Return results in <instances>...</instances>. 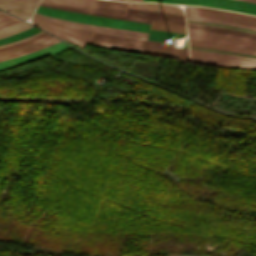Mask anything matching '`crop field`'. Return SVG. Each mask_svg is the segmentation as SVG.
I'll list each match as a JSON object with an SVG mask.
<instances>
[{
  "mask_svg": "<svg viewBox=\"0 0 256 256\" xmlns=\"http://www.w3.org/2000/svg\"><path fill=\"white\" fill-rule=\"evenodd\" d=\"M37 3V0H0V8L24 18L32 14Z\"/></svg>",
  "mask_w": 256,
  "mask_h": 256,
  "instance_id": "d1516ede",
  "label": "crop field"
},
{
  "mask_svg": "<svg viewBox=\"0 0 256 256\" xmlns=\"http://www.w3.org/2000/svg\"><path fill=\"white\" fill-rule=\"evenodd\" d=\"M184 36L185 35H183V34H177V33H171V32L150 29L148 39L166 42L167 39L184 37Z\"/></svg>",
  "mask_w": 256,
  "mask_h": 256,
  "instance_id": "d9b57169",
  "label": "crop field"
},
{
  "mask_svg": "<svg viewBox=\"0 0 256 256\" xmlns=\"http://www.w3.org/2000/svg\"><path fill=\"white\" fill-rule=\"evenodd\" d=\"M31 21L33 24L49 31L50 33L56 35L57 37L68 40L81 47H84L85 44L81 43L80 41L87 43L88 41L87 39H89L90 35L92 34L91 31L66 26V25L59 24L35 15L32 16ZM73 33L80 35L82 37H85L87 39L77 36Z\"/></svg>",
  "mask_w": 256,
  "mask_h": 256,
  "instance_id": "dd49c442",
  "label": "crop field"
},
{
  "mask_svg": "<svg viewBox=\"0 0 256 256\" xmlns=\"http://www.w3.org/2000/svg\"><path fill=\"white\" fill-rule=\"evenodd\" d=\"M39 5L58 8V9H64V10H70V11H76V12H82V13H88V14H94V15H100V16H106V17H112V18H118V19H124V20H130V21H136V22H142V23H148V24H150L151 19L185 24V20L183 16L156 13V12H150V11H144V10L128 9L126 17H122V16L70 9V8L53 6V5L42 4V3H40Z\"/></svg>",
  "mask_w": 256,
  "mask_h": 256,
  "instance_id": "e52e79f7",
  "label": "crop field"
},
{
  "mask_svg": "<svg viewBox=\"0 0 256 256\" xmlns=\"http://www.w3.org/2000/svg\"><path fill=\"white\" fill-rule=\"evenodd\" d=\"M38 16L63 23L66 25L74 26V27H79L91 31H96V32H102V33H107V34H113V35H118V36H124V37H130V38H136V39H143L146 40L148 33L145 32H137V31H130V30H122V29H116V28H110V27H104V26H98V25H90V24H82V23H76V22H71V21H66V20H61V19H56L40 14H36Z\"/></svg>",
  "mask_w": 256,
  "mask_h": 256,
  "instance_id": "3316defc",
  "label": "crop field"
},
{
  "mask_svg": "<svg viewBox=\"0 0 256 256\" xmlns=\"http://www.w3.org/2000/svg\"><path fill=\"white\" fill-rule=\"evenodd\" d=\"M128 8L154 10L183 15V10L181 7L159 3H130Z\"/></svg>",
  "mask_w": 256,
  "mask_h": 256,
  "instance_id": "cbeb9de0",
  "label": "crop field"
},
{
  "mask_svg": "<svg viewBox=\"0 0 256 256\" xmlns=\"http://www.w3.org/2000/svg\"><path fill=\"white\" fill-rule=\"evenodd\" d=\"M189 45L256 54V41L188 29Z\"/></svg>",
  "mask_w": 256,
  "mask_h": 256,
  "instance_id": "ac0d7876",
  "label": "crop field"
},
{
  "mask_svg": "<svg viewBox=\"0 0 256 256\" xmlns=\"http://www.w3.org/2000/svg\"><path fill=\"white\" fill-rule=\"evenodd\" d=\"M69 47L68 45H66L63 42H58L52 46H49L43 50L40 51H36L30 54H26L20 57H16L13 59H9V60H5V61H1L0 62V69H5V68H10V67H15V66H19L49 55H52L58 51H61L65 48Z\"/></svg>",
  "mask_w": 256,
  "mask_h": 256,
  "instance_id": "28ad6ade",
  "label": "crop field"
},
{
  "mask_svg": "<svg viewBox=\"0 0 256 256\" xmlns=\"http://www.w3.org/2000/svg\"><path fill=\"white\" fill-rule=\"evenodd\" d=\"M40 33H42V31L39 32V33H37V34H35V35H38V34H40ZM35 35L29 36V37H26V38H24V39H21V40L15 41V42H11V43H8V44H5V45H1L0 48H1V47H4V46L11 45V44H14V43L22 42V41H24V40H26V39H28V38H31V37H33V36H35Z\"/></svg>",
  "mask_w": 256,
  "mask_h": 256,
  "instance_id": "a9b5d70f",
  "label": "crop field"
},
{
  "mask_svg": "<svg viewBox=\"0 0 256 256\" xmlns=\"http://www.w3.org/2000/svg\"><path fill=\"white\" fill-rule=\"evenodd\" d=\"M143 1H158L172 4H192V5H205L230 10L241 11L249 14L256 15V5L238 1V0H143Z\"/></svg>",
  "mask_w": 256,
  "mask_h": 256,
  "instance_id": "5a996713",
  "label": "crop field"
},
{
  "mask_svg": "<svg viewBox=\"0 0 256 256\" xmlns=\"http://www.w3.org/2000/svg\"><path fill=\"white\" fill-rule=\"evenodd\" d=\"M123 1H142V0H123Z\"/></svg>",
  "mask_w": 256,
  "mask_h": 256,
  "instance_id": "730fd06b",
  "label": "crop field"
},
{
  "mask_svg": "<svg viewBox=\"0 0 256 256\" xmlns=\"http://www.w3.org/2000/svg\"><path fill=\"white\" fill-rule=\"evenodd\" d=\"M36 13H40V14H44V15H48V16H52V17H56V18L76 21V22L98 24V25H104V26H110V27H116V28H122V29L137 30V31H145V32H148L149 26H150L147 24H141V23H135V22H129V21H123V20H117V19H110V18L62 11V10L46 8V7H41V6L38 7Z\"/></svg>",
  "mask_w": 256,
  "mask_h": 256,
  "instance_id": "34b2d1b8",
  "label": "crop field"
},
{
  "mask_svg": "<svg viewBox=\"0 0 256 256\" xmlns=\"http://www.w3.org/2000/svg\"><path fill=\"white\" fill-rule=\"evenodd\" d=\"M31 27L30 25H27L26 23L20 21L14 25H11L7 28L1 29L0 30V38L8 36V35H12L18 32H21L27 28Z\"/></svg>",
  "mask_w": 256,
  "mask_h": 256,
  "instance_id": "733c2abd",
  "label": "crop field"
},
{
  "mask_svg": "<svg viewBox=\"0 0 256 256\" xmlns=\"http://www.w3.org/2000/svg\"><path fill=\"white\" fill-rule=\"evenodd\" d=\"M53 37L51 36H48L40 41H37V42H34V43H31V44H28V45H25V46H22V47H19V48H15V49H11V50H8V51H4V52H0V56H3V55H7V54H11V53H14V52H17V51H20V50H24V49H29L33 46H36L38 44H41L45 41H48L50 39H52Z\"/></svg>",
  "mask_w": 256,
  "mask_h": 256,
  "instance_id": "214f88e0",
  "label": "crop field"
},
{
  "mask_svg": "<svg viewBox=\"0 0 256 256\" xmlns=\"http://www.w3.org/2000/svg\"><path fill=\"white\" fill-rule=\"evenodd\" d=\"M150 28L186 33L185 25L155 21V20L151 21Z\"/></svg>",
  "mask_w": 256,
  "mask_h": 256,
  "instance_id": "5142ce71",
  "label": "crop field"
},
{
  "mask_svg": "<svg viewBox=\"0 0 256 256\" xmlns=\"http://www.w3.org/2000/svg\"><path fill=\"white\" fill-rule=\"evenodd\" d=\"M48 36L47 34L43 33L37 37H34V38H31V39H28L22 43H19V44H15V45H11V46H8V47H5V48H1L0 51H4V50H8V49H11V48H15V47H19V46H22V45H25V44H28V43H31V42H34V41H37L39 39H42L44 37Z\"/></svg>",
  "mask_w": 256,
  "mask_h": 256,
  "instance_id": "dafd665d",
  "label": "crop field"
},
{
  "mask_svg": "<svg viewBox=\"0 0 256 256\" xmlns=\"http://www.w3.org/2000/svg\"><path fill=\"white\" fill-rule=\"evenodd\" d=\"M5 16H7V14H5V13H3V12L0 13V18H1V17H5Z\"/></svg>",
  "mask_w": 256,
  "mask_h": 256,
  "instance_id": "4177f3b9",
  "label": "crop field"
},
{
  "mask_svg": "<svg viewBox=\"0 0 256 256\" xmlns=\"http://www.w3.org/2000/svg\"><path fill=\"white\" fill-rule=\"evenodd\" d=\"M39 31L40 30H38V29L33 27V28H31V29H29L27 31L18 33L16 35H13V36H10V37H6V38L0 39V44H4V43H8V42H11V41H15V40L24 38L26 36L32 35V34L37 33Z\"/></svg>",
  "mask_w": 256,
  "mask_h": 256,
  "instance_id": "4a817a6b",
  "label": "crop field"
},
{
  "mask_svg": "<svg viewBox=\"0 0 256 256\" xmlns=\"http://www.w3.org/2000/svg\"><path fill=\"white\" fill-rule=\"evenodd\" d=\"M1 12V11H0Z\"/></svg>",
  "mask_w": 256,
  "mask_h": 256,
  "instance_id": "eef30255",
  "label": "crop field"
},
{
  "mask_svg": "<svg viewBox=\"0 0 256 256\" xmlns=\"http://www.w3.org/2000/svg\"><path fill=\"white\" fill-rule=\"evenodd\" d=\"M187 26H188V28H191V29L234 35V36L245 37V38H250V39L256 40V34H251V33H246V32L226 29V28H220V27H214V26H210V25H202V24L187 23Z\"/></svg>",
  "mask_w": 256,
  "mask_h": 256,
  "instance_id": "22f410ed",
  "label": "crop field"
},
{
  "mask_svg": "<svg viewBox=\"0 0 256 256\" xmlns=\"http://www.w3.org/2000/svg\"><path fill=\"white\" fill-rule=\"evenodd\" d=\"M42 3L125 16L129 3L112 0H41Z\"/></svg>",
  "mask_w": 256,
  "mask_h": 256,
  "instance_id": "412701ff",
  "label": "crop field"
},
{
  "mask_svg": "<svg viewBox=\"0 0 256 256\" xmlns=\"http://www.w3.org/2000/svg\"><path fill=\"white\" fill-rule=\"evenodd\" d=\"M57 41H59V40H57V39L54 38V39L51 40V41L45 42V43H43V44H41V45H38V46H36V47H34V48H31V49H29V50L20 51V52H17V53L8 55V56L0 57V60H4V59L16 57V56H20V55H23V54H26V53H30V52H33V51L42 49V48H44V47H47V46H49V45H51V44H53V43H55V42H57Z\"/></svg>",
  "mask_w": 256,
  "mask_h": 256,
  "instance_id": "bc2a9ffb",
  "label": "crop field"
},
{
  "mask_svg": "<svg viewBox=\"0 0 256 256\" xmlns=\"http://www.w3.org/2000/svg\"><path fill=\"white\" fill-rule=\"evenodd\" d=\"M20 20L16 19V18H13L11 16H8V17H5V18H2L0 19V28H4V27H7L13 23H16Z\"/></svg>",
  "mask_w": 256,
  "mask_h": 256,
  "instance_id": "00972430",
  "label": "crop field"
},
{
  "mask_svg": "<svg viewBox=\"0 0 256 256\" xmlns=\"http://www.w3.org/2000/svg\"><path fill=\"white\" fill-rule=\"evenodd\" d=\"M185 17H186V19H190V20L205 21V22H211V23H217V24H223V25H230V26H236V27H242V28H248V29H254V30H256V28H252V27H248V26H244V25H239V24H233V23L215 21V20L204 19V18L193 17V16H187V15H185Z\"/></svg>",
  "mask_w": 256,
  "mask_h": 256,
  "instance_id": "92a150f3",
  "label": "crop field"
},
{
  "mask_svg": "<svg viewBox=\"0 0 256 256\" xmlns=\"http://www.w3.org/2000/svg\"><path fill=\"white\" fill-rule=\"evenodd\" d=\"M185 12L188 15L216 19L221 21L233 22L256 27V16L239 14L213 8L187 6Z\"/></svg>",
  "mask_w": 256,
  "mask_h": 256,
  "instance_id": "d8731c3e",
  "label": "crop field"
},
{
  "mask_svg": "<svg viewBox=\"0 0 256 256\" xmlns=\"http://www.w3.org/2000/svg\"><path fill=\"white\" fill-rule=\"evenodd\" d=\"M191 62L256 69V59L190 49Z\"/></svg>",
  "mask_w": 256,
  "mask_h": 256,
  "instance_id": "f4fd0767",
  "label": "crop field"
},
{
  "mask_svg": "<svg viewBox=\"0 0 256 256\" xmlns=\"http://www.w3.org/2000/svg\"><path fill=\"white\" fill-rule=\"evenodd\" d=\"M88 44L127 52L189 60L188 49L173 47V45L162 42L134 40L93 32Z\"/></svg>",
  "mask_w": 256,
  "mask_h": 256,
  "instance_id": "8a807250",
  "label": "crop field"
}]
</instances>
